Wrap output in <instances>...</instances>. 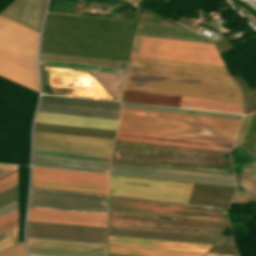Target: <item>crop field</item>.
<instances>
[{"instance_id": "crop-field-3", "label": "crop field", "mask_w": 256, "mask_h": 256, "mask_svg": "<svg viewBox=\"0 0 256 256\" xmlns=\"http://www.w3.org/2000/svg\"><path fill=\"white\" fill-rule=\"evenodd\" d=\"M39 33L0 16V75L38 92Z\"/></svg>"}, {"instance_id": "crop-field-33", "label": "crop field", "mask_w": 256, "mask_h": 256, "mask_svg": "<svg viewBox=\"0 0 256 256\" xmlns=\"http://www.w3.org/2000/svg\"><path fill=\"white\" fill-rule=\"evenodd\" d=\"M251 151L254 152V153H256V140H255V142H254V145H253V148H252Z\"/></svg>"}, {"instance_id": "crop-field-35", "label": "crop field", "mask_w": 256, "mask_h": 256, "mask_svg": "<svg viewBox=\"0 0 256 256\" xmlns=\"http://www.w3.org/2000/svg\"><path fill=\"white\" fill-rule=\"evenodd\" d=\"M29 256H45V255H34V254H29Z\"/></svg>"}, {"instance_id": "crop-field-32", "label": "crop field", "mask_w": 256, "mask_h": 256, "mask_svg": "<svg viewBox=\"0 0 256 256\" xmlns=\"http://www.w3.org/2000/svg\"><path fill=\"white\" fill-rule=\"evenodd\" d=\"M205 256H232V255H222V254L207 253Z\"/></svg>"}, {"instance_id": "crop-field-9", "label": "crop field", "mask_w": 256, "mask_h": 256, "mask_svg": "<svg viewBox=\"0 0 256 256\" xmlns=\"http://www.w3.org/2000/svg\"><path fill=\"white\" fill-rule=\"evenodd\" d=\"M123 101L243 113L242 103L125 91Z\"/></svg>"}, {"instance_id": "crop-field-12", "label": "crop field", "mask_w": 256, "mask_h": 256, "mask_svg": "<svg viewBox=\"0 0 256 256\" xmlns=\"http://www.w3.org/2000/svg\"><path fill=\"white\" fill-rule=\"evenodd\" d=\"M41 64L105 71L127 70L128 62L41 53Z\"/></svg>"}, {"instance_id": "crop-field-36", "label": "crop field", "mask_w": 256, "mask_h": 256, "mask_svg": "<svg viewBox=\"0 0 256 256\" xmlns=\"http://www.w3.org/2000/svg\"><path fill=\"white\" fill-rule=\"evenodd\" d=\"M109 256H125V255H114V254H109Z\"/></svg>"}, {"instance_id": "crop-field-14", "label": "crop field", "mask_w": 256, "mask_h": 256, "mask_svg": "<svg viewBox=\"0 0 256 256\" xmlns=\"http://www.w3.org/2000/svg\"><path fill=\"white\" fill-rule=\"evenodd\" d=\"M110 162L34 154V165L104 172Z\"/></svg>"}, {"instance_id": "crop-field-26", "label": "crop field", "mask_w": 256, "mask_h": 256, "mask_svg": "<svg viewBox=\"0 0 256 256\" xmlns=\"http://www.w3.org/2000/svg\"><path fill=\"white\" fill-rule=\"evenodd\" d=\"M18 224V210L0 218V232Z\"/></svg>"}, {"instance_id": "crop-field-8", "label": "crop field", "mask_w": 256, "mask_h": 256, "mask_svg": "<svg viewBox=\"0 0 256 256\" xmlns=\"http://www.w3.org/2000/svg\"><path fill=\"white\" fill-rule=\"evenodd\" d=\"M28 237L107 244V228L28 221Z\"/></svg>"}, {"instance_id": "crop-field-18", "label": "crop field", "mask_w": 256, "mask_h": 256, "mask_svg": "<svg viewBox=\"0 0 256 256\" xmlns=\"http://www.w3.org/2000/svg\"><path fill=\"white\" fill-rule=\"evenodd\" d=\"M41 103L105 109V110H115V111H119L120 105H121L120 103H115V102H105V101L48 96V95H42Z\"/></svg>"}, {"instance_id": "crop-field-23", "label": "crop field", "mask_w": 256, "mask_h": 256, "mask_svg": "<svg viewBox=\"0 0 256 256\" xmlns=\"http://www.w3.org/2000/svg\"><path fill=\"white\" fill-rule=\"evenodd\" d=\"M122 107L147 109V110H157V111H167V112H177V113H187V114H197V115H207V116H217V117H227V118H237V119H241V117H242V115H237V114L187 110V109L148 106V105H138V104H128V103H123Z\"/></svg>"}, {"instance_id": "crop-field-10", "label": "crop field", "mask_w": 256, "mask_h": 256, "mask_svg": "<svg viewBox=\"0 0 256 256\" xmlns=\"http://www.w3.org/2000/svg\"><path fill=\"white\" fill-rule=\"evenodd\" d=\"M110 173L235 186L233 176L111 164Z\"/></svg>"}, {"instance_id": "crop-field-22", "label": "crop field", "mask_w": 256, "mask_h": 256, "mask_svg": "<svg viewBox=\"0 0 256 256\" xmlns=\"http://www.w3.org/2000/svg\"><path fill=\"white\" fill-rule=\"evenodd\" d=\"M255 137L256 113H252L244 116L234 144L240 145L250 151Z\"/></svg>"}, {"instance_id": "crop-field-13", "label": "crop field", "mask_w": 256, "mask_h": 256, "mask_svg": "<svg viewBox=\"0 0 256 256\" xmlns=\"http://www.w3.org/2000/svg\"><path fill=\"white\" fill-rule=\"evenodd\" d=\"M45 5V0H16L1 14L39 31Z\"/></svg>"}, {"instance_id": "crop-field-1", "label": "crop field", "mask_w": 256, "mask_h": 256, "mask_svg": "<svg viewBox=\"0 0 256 256\" xmlns=\"http://www.w3.org/2000/svg\"><path fill=\"white\" fill-rule=\"evenodd\" d=\"M125 90L242 102L224 66L136 56Z\"/></svg>"}, {"instance_id": "crop-field-16", "label": "crop field", "mask_w": 256, "mask_h": 256, "mask_svg": "<svg viewBox=\"0 0 256 256\" xmlns=\"http://www.w3.org/2000/svg\"><path fill=\"white\" fill-rule=\"evenodd\" d=\"M109 244L207 252L211 245L109 236Z\"/></svg>"}, {"instance_id": "crop-field-21", "label": "crop field", "mask_w": 256, "mask_h": 256, "mask_svg": "<svg viewBox=\"0 0 256 256\" xmlns=\"http://www.w3.org/2000/svg\"><path fill=\"white\" fill-rule=\"evenodd\" d=\"M39 111L63 113V114H73V115H83V116H93V117H103V118H113V119H117L118 113H119V112H115V111H105V110L55 106V105H45V104H41Z\"/></svg>"}, {"instance_id": "crop-field-5", "label": "crop field", "mask_w": 256, "mask_h": 256, "mask_svg": "<svg viewBox=\"0 0 256 256\" xmlns=\"http://www.w3.org/2000/svg\"><path fill=\"white\" fill-rule=\"evenodd\" d=\"M132 55L223 64L213 45L139 37Z\"/></svg>"}, {"instance_id": "crop-field-4", "label": "crop field", "mask_w": 256, "mask_h": 256, "mask_svg": "<svg viewBox=\"0 0 256 256\" xmlns=\"http://www.w3.org/2000/svg\"><path fill=\"white\" fill-rule=\"evenodd\" d=\"M193 184L109 175V195L186 203Z\"/></svg>"}, {"instance_id": "crop-field-20", "label": "crop field", "mask_w": 256, "mask_h": 256, "mask_svg": "<svg viewBox=\"0 0 256 256\" xmlns=\"http://www.w3.org/2000/svg\"><path fill=\"white\" fill-rule=\"evenodd\" d=\"M109 253L137 256H203L205 253L109 245Z\"/></svg>"}, {"instance_id": "crop-field-34", "label": "crop field", "mask_w": 256, "mask_h": 256, "mask_svg": "<svg viewBox=\"0 0 256 256\" xmlns=\"http://www.w3.org/2000/svg\"><path fill=\"white\" fill-rule=\"evenodd\" d=\"M130 1H134V2H136L138 4L141 0H130Z\"/></svg>"}, {"instance_id": "crop-field-15", "label": "crop field", "mask_w": 256, "mask_h": 256, "mask_svg": "<svg viewBox=\"0 0 256 256\" xmlns=\"http://www.w3.org/2000/svg\"><path fill=\"white\" fill-rule=\"evenodd\" d=\"M36 122L115 130L117 120L39 112Z\"/></svg>"}, {"instance_id": "crop-field-2", "label": "crop field", "mask_w": 256, "mask_h": 256, "mask_svg": "<svg viewBox=\"0 0 256 256\" xmlns=\"http://www.w3.org/2000/svg\"><path fill=\"white\" fill-rule=\"evenodd\" d=\"M154 117L121 113L118 126L234 138L241 120L126 109ZM118 127V130L233 141L230 138ZM118 131L116 139L230 151L233 142Z\"/></svg>"}, {"instance_id": "crop-field-30", "label": "crop field", "mask_w": 256, "mask_h": 256, "mask_svg": "<svg viewBox=\"0 0 256 256\" xmlns=\"http://www.w3.org/2000/svg\"><path fill=\"white\" fill-rule=\"evenodd\" d=\"M17 168L18 166L15 165L0 164V176L7 174Z\"/></svg>"}, {"instance_id": "crop-field-31", "label": "crop field", "mask_w": 256, "mask_h": 256, "mask_svg": "<svg viewBox=\"0 0 256 256\" xmlns=\"http://www.w3.org/2000/svg\"><path fill=\"white\" fill-rule=\"evenodd\" d=\"M216 244L234 245L231 237L223 236Z\"/></svg>"}, {"instance_id": "crop-field-17", "label": "crop field", "mask_w": 256, "mask_h": 256, "mask_svg": "<svg viewBox=\"0 0 256 256\" xmlns=\"http://www.w3.org/2000/svg\"><path fill=\"white\" fill-rule=\"evenodd\" d=\"M109 235L214 244L218 238L109 228Z\"/></svg>"}, {"instance_id": "crop-field-24", "label": "crop field", "mask_w": 256, "mask_h": 256, "mask_svg": "<svg viewBox=\"0 0 256 256\" xmlns=\"http://www.w3.org/2000/svg\"><path fill=\"white\" fill-rule=\"evenodd\" d=\"M29 253L57 255V256H107V254H102V253L79 252V251L45 249V248H34V247H29Z\"/></svg>"}, {"instance_id": "crop-field-11", "label": "crop field", "mask_w": 256, "mask_h": 256, "mask_svg": "<svg viewBox=\"0 0 256 256\" xmlns=\"http://www.w3.org/2000/svg\"><path fill=\"white\" fill-rule=\"evenodd\" d=\"M28 220L107 227V216L34 208Z\"/></svg>"}, {"instance_id": "crop-field-28", "label": "crop field", "mask_w": 256, "mask_h": 256, "mask_svg": "<svg viewBox=\"0 0 256 256\" xmlns=\"http://www.w3.org/2000/svg\"><path fill=\"white\" fill-rule=\"evenodd\" d=\"M18 183V172L0 180V191L7 189Z\"/></svg>"}, {"instance_id": "crop-field-29", "label": "crop field", "mask_w": 256, "mask_h": 256, "mask_svg": "<svg viewBox=\"0 0 256 256\" xmlns=\"http://www.w3.org/2000/svg\"><path fill=\"white\" fill-rule=\"evenodd\" d=\"M17 209H18V199L7 205L0 207V217L7 215Z\"/></svg>"}, {"instance_id": "crop-field-27", "label": "crop field", "mask_w": 256, "mask_h": 256, "mask_svg": "<svg viewBox=\"0 0 256 256\" xmlns=\"http://www.w3.org/2000/svg\"><path fill=\"white\" fill-rule=\"evenodd\" d=\"M0 256H25L24 241L0 252Z\"/></svg>"}, {"instance_id": "crop-field-19", "label": "crop field", "mask_w": 256, "mask_h": 256, "mask_svg": "<svg viewBox=\"0 0 256 256\" xmlns=\"http://www.w3.org/2000/svg\"><path fill=\"white\" fill-rule=\"evenodd\" d=\"M29 246L107 253V245L28 238Z\"/></svg>"}, {"instance_id": "crop-field-25", "label": "crop field", "mask_w": 256, "mask_h": 256, "mask_svg": "<svg viewBox=\"0 0 256 256\" xmlns=\"http://www.w3.org/2000/svg\"><path fill=\"white\" fill-rule=\"evenodd\" d=\"M18 243V225L0 233V251Z\"/></svg>"}, {"instance_id": "crop-field-7", "label": "crop field", "mask_w": 256, "mask_h": 256, "mask_svg": "<svg viewBox=\"0 0 256 256\" xmlns=\"http://www.w3.org/2000/svg\"><path fill=\"white\" fill-rule=\"evenodd\" d=\"M30 207L107 215V196L33 188Z\"/></svg>"}, {"instance_id": "crop-field-6", "label": "crop field", "mask_w": 256, "mask_h": 256, "mask_svg": "<svg viewBox=\"0 0 256 256\" xmlns=\"http://www.w3.org/2000/svg\"><path fill=\"white\" fill-rule=\"evenodd\" d=\"M37 188L107 195V174L33 167Z\"/></svg>"}]
</instances>
